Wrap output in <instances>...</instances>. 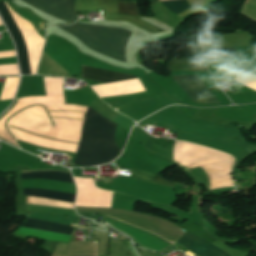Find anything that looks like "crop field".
<instances>
[{
    "mask_svg": "<svg viewBox=\"0 0 256 256\" xmlns=\"http://www.w3.org/2000/svg\"><path fill=\"white\" fill-rule=\"evenodd\" d=\"M114 128L115 124L88 107L73 164L94 166L111 161L119 151L113 140Z\"/></svg>",
    "mask_w": 256,
    "mask_h": 256,
    "instance_id": "1",
    "label": "crop field"
},
{
    "mask_svg": "<svg viewBox=\"0 0 256 256\" xmlns=\"http://www.w3.org/2000/svg\"><path fill=\"white\" fill-rule=\"evenodd\" d=\"M59 28L77 37L90 49L102 55L125 61V48L132 32L114 27L81 23Z\"/></svg>",
    "mask_w": 256,
    "mask_h": 256,
    "instance_id": "2",
    "label": "crop field"
},
{
    "mask_svg": "<svg viewBox=\"0 0 256 256\" xmlns=\"http://www.w3.org/2000/svg\"><path fill=\"white\" fill-rule=\"evenodd\" d=\"M112 219L106 217L104 221H107L111 226L129 234L147 248L163 251L173 245L153 234L136 229L137 227L134 228L130 225L121 223L122 221L118 222L119 220L115 221L116 219ZM176 244L191 251L197 256H230L228 253L189 233H186V235Z\"/></svg>",
    "mask_w": 256,
    "mask_h": 256,
    "instance_id": "3",
    "label": "crop field"
},
{
    "mask_svg": "<svg viewBox=\"0 0 256 256\" xmlns=\"http://www.w3.org/2000/svg\"><path fill=\"white\" fill-rule=\"evenodd\" d=\"M104 8V20L128 21L151 33L163 30L139 19L135 3L117 0H76V12L92 11Z\"/></svg>",
    "mask_w": 256,
    "mask_h": 256,
    "instance_id": "4",
    "label": "crop field"
},
{
    "mask_svg": "<svg viewBox=\"0 0 256 256\" xmlns=\"http://www.w3.org/2000/svg\"><path fill=\"white\" fill-rule=\"evenodd\" d=\"M0 13L15 40L22 74H33L25 38L11 9L5 2H0Z\"/></svg>",
    "mask_w": 256,
    "mask_h": 256,
    "instance_id": "5",
    "label": "crop field"
},
{
    "mask_svg": "<svg viewBox=\"0 0 256 256\" xmlns=\"http://www.w3.org/2000/svg\"><path fill=\"white\" fill-rule=\"evenodd\" d=\"M181 89L195 102L220 104L217 98L198 79L197 75L172 76Z\"/></svg>",
    "mask_w": 256,
    "mask_h": 256,
    "instance_id": "6",
    "label": "crop field"
},
{
    "mask_svg": "<svg viewBox=\"0 0 256 256\" xmlns=\"http://www.w3.org/2000/svg\"><path fill=\"white\" fill-rule=\"evenodd\" d=\"M35 8L61 19L73 23L78 17L74 14V0H23Z\"/></svg>",
    "mask_w": 256,
    "mask_h": 256,
    "instance_id": "7",
    "label": "crop field"
},
{
    "mask_svg": "<svg viewBox=\"0 0 256 256\" xmlns=\"http://www.w3.org/2000/svg\"><path fill=\"white\" fill-rule=\"evenodd\" d=\"M80 77L94 80V81L107 82V83L136 78L134 76H128V75L108 72V71L84 67V66H82Z\"/></svg>",
    "mask_w": 256,
    "mask_h": 256,
    "instance_id": "8",
    "label": "crop field"
},
{
    "mask_svg": "<svg viewBox=\"0 0 256 256\" xmlns=\"http://www.w3.org/2000/svg\"><path fill=\"white\" fill-rule=\"evenodd\" d=\"M23 227L27 228H34V229H42L47 231H53L63 234H71V231L73 228L68 227L66 225L62 224H56L52 222L37 220V219H31L28 218Z\"/></svg>",
    "mask_w": 256,
    "mask_h": 256,
    "instance_id": "9",
    "label": "crop field"
},
{
    "mask_svg": "<svg viewBox=\"0 0 256 256\" xmlns=\"http://www.w3.org/2000/svg\"><path fill=\"white\" fill-rule=\"evenodd\" d=\"M168 71H208L203 60H170Z\"/></svg>",
    "mask_w": 256,
    "mask_h": 256,
    "instance_id": "10",
    "label": "crop field"
},
{
    "mask_svg": "<svg viewBox=\"0 0 256 256\" xmlns=\"http://www.w3.org/2000/svg\"><path fill=\"white\" fill-rule=\"evenodd\" d=\"M34 178L54 179V180H61V181L74 183L70 173H66V172L39 171V172H26L22 174V179H34Z\"/></svg>",
    "mask_w": 256,
    "mask_h": 256,
    "instance_id": "11",
    "label": "crop field"
},
{
    "mask_svg": "<svg viewBox=\"0 0 256 256\" xmlns=\"http://www.w3.org/2000/svg\"><path fill=\"white\" fill-rule=\"evenodd\" d=\"M27 196H34V197H41V198H48V199H57L63 201H70L74 202L75 195L66 194V193H59L48 191L44 189H25Z\"/></svg>",
    "mask_w": 256,
    "mask_h": 256,
    "instance_id": "12",
    "label": "crop field"
},
{
    "mask_svg": "<svg viewBox=\"0 0 256 256\" xmlns=\"http://www.w3.org/2000/svg\"><path fill=\"white\" fill-rule=\"evenodd\" d=\"M21 235H27V236H33V237H39V238H45L50 240H56V241H64L68 242L71 236L53 233V232H47V231H40V230H33V229H25L22 228L19 232Z\"/></svg>",
    "mask_w": 256,
    "mask_h": 256,
    "instance_id": "13",
    "label": "crop field"
},
{
    "mask_svg": "<svg viewBox=\"0 0 256 256\" xmlns=\"http://www.w3.org/2000/svg\"><path fill=\"white\" fill-rule=\"evenodd\" d=\"M148 183L156 184L166 188L174 189L173 184L163 180L159 175L141 172L134 169V176L131 177ZM175 190V189H174Z\"/></svg>",
    "mask_w": 256,
    "mask_h": 256,
    "instance_id": "14",
    "label": "crop field"
},
{
    "mask_svg": "<svg viewBox=\"0 0 256 256\" xmlns=\"http://www.w3.org/2000/svg\"><path fill=\"white\" fill-rule=\"evenodd\" d=\"M160 2L168 0H159ZM171 12H183L190 8L187 0H173L162 3Z\"/></svg>",
    "mask_w": 256,
    "mask_h": 256,
    "instance_id": "15",
    "label": "crop field"
},
{
    "mask_svg": "<svg viewBox=\"0 0 256 256\" xmlns=\"http://www.w3.org/2000/svg\"><path fill=\"white\" fill-rule=\"evenodd\" d=\"M205 58L236 56L234 48L204 49Z\"/></svg>",
    "mask_w": 256,
    "mask_h": 256,
    "instance_id": "16",
    "label": "crop field"
},
{
    "mask_svg": "<svg viewBox=\"0 0 256 256\" xmlns=\"http://www.w3.org/2000/svg\"><path fill=\"white\" fill-rule=\"evenodd\" d=\"M188 49L192 59H203L201 43L191 42Z\"/></svg>",
    "mask_w": 256,
    "mask_h": 256,
    "instance_id": "17",
    "label": "crop field"
},
{
    "mask_svg": "<svg viewBox=\"0 0 256 256\" xmlns=\"http://www.w3.org/2000/svg\"><path fill=\"white\" fill-rule=\"evenodd\" d=\"M139 255L140 256H157L155 253H150L145 251L139 252Z\"/></svg>",
    "mask_w": 256,
    "mask_h": 256,
    "instance_id": "18",
    "label": "crop field"
},
{
    "mask_svg": "<svg viewBox=\"0 0 256 256\" xmlns=\"http://www.w3.org/2000/svg\"><path fill=\"white\" fill-rule=\"evenodd\" d=\"M72 226H77V227H81V228H87V229H89L88 227H86V226H82V225H78V224H72Z\"/></svg>",
    "mask_w": 256,
    "mask_h": 256,
    "instance_id": "19",
    "label": "crop field"
}]
</instances>
